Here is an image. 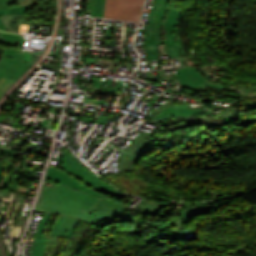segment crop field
I'll list each match as a JSON object with an SVG mask.
<instances>
[{"label": "crop field", "instance_id": "crop-field-1", "mask_svg": "<svg viewBox=\"0 0 256 256\" xmlns=\"http://www.w3.org/2000/svg\"><path fill=\"white\" fill-rule=\"evenodd\" d=\"M169 0H155L146 23L147 60L159 59L158 45L164 42L170 57L186 56L181 39V10L168 7Z\"/></svg>", "mask_w": 256, "mask_h": 256}, {"label": "crop field", "instance_id": "crop-field-2", "mask_svg": "<svg viewBox=\"0 0 256 256\" xmlns=\"http://www.w3.org/2000/svg\"><path fill=\"white\" fill-rule=\"evenodd\" d=\"M98 201L97 197L55 183L53 188L44 186L43 200L34 210L62 214L85 222Z\"/></svg>", "mask_w": 256, "mask_h": 256}, {"label": "crop field", "instance_id": "crop-field-3", "mask_svg": "<svg viewBox=\"0 0 256 256\" xmlns=\"http://www.w3.org/2000/svg\"><path fill=\"white\" fill-rule=\"evenodd\" d=\"M54 160L62 161V170L71 174L74 178L88 185L89 187L112 197L121 198L127 195L118 192L113 186L106 183L103 179L89 171L82 165L77 158H75L69 150L64 147L63 159L52 158Z\"/></svg>", "mask_w": 256, "mask_h": 256}, {"label": "crop field", "instance_id": "crop-field-4", "mask_svg": "<svg viewBox=\"0 0 256 256\" xmlns=\"http://www.w3.org/2000/svg\"><path fill=\"white\" fill-rule=\"evenodd\" d=\"M86 222L102 229L113 223L133 222V219L124 204L102 196Z\"/></svg>", "mask_w": 256, "mask_h": 256}, {"label": "crop field", "instance_id": "crop-field-5", "mask_svg": "<svg viewBox=\"0 0 256 256\" xmlns=\"http://www.w3.org/2000/svg\"><path fill=\"white\" fill-rule=\"evenodd\" d=\"M161 130L163 129L157 126L149 135L139 133L127 151L123 154L120 161V171L133 170L135 163L142 157V153L156 148L151 144L156 140L155 137Z\"/></svg>", "mask_w": 256, "mask_h": 256}, {"label": "crop field", "instance_id": "crop-field-6", "mask_svg": "<svg viewBox=\"0 0 256 256\" xmlns=\"http://www.w3.org/2000/svg\"><path fill=\"white\" fill-rule=\"evenodd\" d=\"M145 0H106L104 18L140 21Z\"/></svg>", "mask_w": 256, "mask_h": 256}, {"label": "crop field", "instance_id": "crop-field-7", "mask_svg": "<svg viewBox=\"0 0 256 256\" xmlns=\"http://www.w3.org/2000/svg\"><path fill=\"white\" fill-rule=\"evenodd\" d=\"M181 87L204 91L206 87L224 90L225 85L206 79L196 66L176 68Z\"/></svg>", "mask_w": 256, "mask_h": 256}, {"label": "crop field", "instance_id": "crop-field-8", "mask_svg": "<svg viewBox=\"0 0 256 256\" xmlns=\"http://www.w3.org/2000/svg\"><path fill=\"white\" fill-rule=\"evenodd\" d=\"M44 179L54 181V182L62 184V185H66V186L75 188L77 190H80L82 192H85V193H88V194H91V195L101 198V195L99 192L89 188L88 186H86L83 183L79 182L78 180L74 179L68 173L63 172L54 167L48 166V169H47Z\"/></svg>", "mask_w": 256, "mask_h": 256}, {"label": "crop field", "instance_id": "crop-field-9", "mask_svg": "<svg viewBox=\"0 0 256 256\" xmlns=\"http://www.w3.org/2000/svg\"><path fill=\"white\" fill-rule=\"evenodd\" d=\"M32 64L3 56L0 60V77L17 80Z\"/></svg>", "mask_w": 256, "mask_h": 256}, {"label": "crop field", "instance_id": "crop-field-10", "mask_svg": "<svg viewBox=\"0 0 256 256\" xmlns=\"http://www.w3.org/2000/svg\"><path fill=\"white\" fill-rule=\"evenodd\" d=\"M78 223L79 221L75 219L60 215L52 229L51 236L71 238L72 233L77 227Z\"/></svg>", "mask_w": 256, "mask_h": 256}, {"label": "crop field", "instance_id": "crop-field-11", "mask_svg": "<svg viewBox=\"0 0 256 256\" xmlns=\"http://www.w3.org/2000/svg\"><path fill=\"white\" fill-rule=\"evenodd\" d=\"M170 204L172 203L170 202L165 203V202L143 199L141 203H138L134 208H132V211L134 213L155 217L157 216V214L160 212L162 208Z\"/></svg>", "mask_w": 256, "mask_h": 256}, {"label": "crop field", "instance_id": "crop-field-12", "mask_svg": "<svg viewBox=\"0 0 256 256\" xmlns=\"http://www.w3.org/2000/svg\"><path fill=\"white\" fill-rule=\"evenodd\" d=\"M207 207L213 208V201L194 203V206L180 210L177 212V214L180 215L185 226H188V221L191 220L193 217L199 214L207 213L206 211H204Z\"/></svg>", "mask_w": 256, "mask_h": 256}, {"label": "crop field", "instance_id": "crop-field-13", "mask_svg": "<svg viewBox=\"0 0 256 256\" xmlns=\"http://www.w3.org/2000/svg\"><path fill=\"white\" fill-rule=\"evenodd\" d=\"M52 214L45 213L43 216V219L36 231L35 235V241H34V251H33V256H43L44 255V249H45V243H46V238L47 236H43L44 228L50 219Z\"/></svg>", "mask_w": 256, "mask_h": 256}, {"label": "crop field", "instance_id": "crop-field-14", "mask_svg": "<svg viewBox=\"0 0 256 256\" xmlns=\"http://www.w3.org/2000/svg\"><path fill=\"white\" fill-rule=\"evenodd\" d=\"M227 124H229V123L220 119L219 117H215V118H211V119H205V120H199V121H194V122L183 123L180 125H175L173 127L168 128V131L173 134V132L175 130L182 129L184 127H189V126L202 125L204 128L208 129L211 127H217V126H222V125H227Z\"/></svg>", "mask_w": 256, "mask_h": 256}, {"label": "crop field", "instance_id": "crop-field-15", "mask_svg": "<svg viewBox=\"0 0 256 256\" xmlns=\"http://www.w3.org/2000/svg\"><path fill=\"white\" fill-rule=\"evenodd\" d=\"M29 6L19 7V6H10L8 9H1L0 16L5 14H25ZM0 30L8 31L0 19Z\"/></svg>", "mask_w": 256, "mask_h": 256}, {"label": "crop field", "instance_id": "crop-field-16", "mask_svg": "<svg viewBox=\"0 0 256 256\" xmlns=\"http://www.w3.org/2000/svg\"><path fill=\"white\" fill-rule=\"evenodd\" d=\"M14 80L1 77L0 78V97L14 83Z\"/></svg>", "mask_w": 256, "mask_h": 256}, {"label": "crop field", "instance_id": "crop-field-17", "mask_svg": "<svg viewBox=\"0 0 256 256\" xmlns=\"http://www.w3.org/2000/svg\"><path fill=\"white\" fill-rule=\"evenodd\" d=\"M104 7H105V0H97L95 16L103 18Z\"/></svg>", "mask_w": 256, "mask_h": 256}, {"label": "crop field", "instance_id": "crop-field-18", "mask_svg": "<svg viewBox=\"0 0 256 256\" xmlns=\"http://www.w3.org/2000/svg\"><path fill=\"white\" fill-rule=\"evenodd\" d=\"M95 6H96V0H88L87 7L92 8L90 16H94Z\"/></svg>", "mask_w": 256, "mask_h": 256}, {"label": "crop field", "instance_id": "crop-field-19", "mask_svg": "<svg viewBox=\"0 0 256 256\" xmlns=\"http://www.w3.org/2000/svg\"><path fill=\"white\" fill-rule=\"evenodd\" d=\"M217 116L216 114H212V115H206V116H200V117H194V118H187V119H183L185 122L187 121H193V120H199V119H205L208 117H215Z\"/></svg>", "mask_w": 256, "mask_h": 256}, {"label": "crop field", "instance_id": "crop-field-20", "mask_svg": "<svg viewBox=\"0 0 256 256\" xmlns=\"http://www.w3.org/2000/svg\"><path fill=\"white\" fill-rule=\"evenodd\" d=\"M221 117L227 119L228 121H232V116H235L234 114H228V113H218Z\"/></svg>", "mask_w": 256, "mask_h": 256}, {"label": "crop field", "instance_id": "crop-field-21", "mask_svg": "<svg viewBox=\"0 0 256 256\" xmlns=\"http://www.w3.org/2000/svg\"><path fill=\"white\" fill-rule=\"evenodd\" d=\"M30 4H32V0H19V3H18L19 6H25Z\"/></svg>", "mask_w": 256, "mask_h": 256}, {"label": "crop field", "instance_id": "crop-field-22", "mask_svg": "<svg viewBox=\"0 0 256 256\" xmlns=\"http://www.w3.org/2000/svg\"><path fill=\"white\" fill-rule=\"evenodd\" d=\"M10 6V3H0V9L1 8H8Z\"/></svg>", "mask_w": 256, "mask_h": 256}, {"label": "crop field", "instance_id": "crop-field-23", "mask_svg": "<svg viewBox=\"0 0 256 256\" xmlns=\"http://www.w3.org/2000/svg\"><path fill=\"white\" fill-rule=\"evenodd\" d=\"M42 188H43V186L41 187V190H40L39 197H38V200H37L36 205H37V204L41 201V199H42Z\"/></svg>", "mask_w": 256, "mask_h": 256}, {"label": "crop field", "instance_id": "crop-field-24", "mask_svg": "<svg viewBox=\"0 0 256 256\" xmlns=\"http://www.w3.org/2000/svg\"><path fill=\"white\" fill-rule=\"evenodd\" d=\"M49 55L54 56V58H56V59H59V58H61V56H62V55H54V54H51V52H49Z\"/></svg>", "mask_w": 256, "mask_h": 256}, {"label": "crop field", "instance_id": "crop-field-25", "mask_svg": "<svg viewBox=\"0 0 256 256\" xmlns=\"http://www.w3.org/2000/svg\"><path fill=\"white\" fill-rule=\"evenodd\" d=\"M40 65H44V66L51 67V68H53V67H54V65L44 64V63H41Z\"/></svg>", "mask_w": 256, "mask_h": 256}, {"label": "crop field", "instance_id": "crop-field-26", "mask_svg": "<svg viewBox=\"0 0 256 256\" xmlns=\"http://www.w3.org/2000/svg\"><path fill=\"white\" fill-rule=\"evenodd\" d=\"M0 2H10V0H0Z\"/></svg>", "mask_w": 256, "mask_h": 256}, {"label": "crop field", "instance_id": "crop-field-27", "mask_svg": "<svg viewBox=\"0 0 256 256\" xmlns=\"http://www.w3.org/2000/svg\"><path fill=\"white\" fill-rule=\"evenodd\" d=\"M0 39H1L2 41H4V39L1 37V35H0Z\"/></svg>", "mask_w": 256, "mask_h": 256}]
</instances>
